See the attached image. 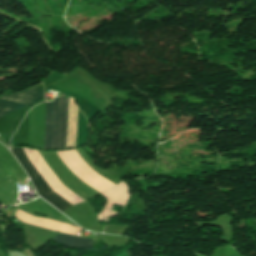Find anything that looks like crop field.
<instances>
[{"mask_svg":"<svg viewBox=\"0 0 256 256\" xmlns=\"http://www.w3.org/2000/svg\"><path fill=\"white\" fill-rule=\"evenodd\" d=\"M74 147L70 98L47 104L46 136L43 149Z\"/></svg>","mask_w":256,"mask_h":256,"instance_id":"obj_1","label":"crop field"},{"mask_svg":"<svg viewBox=\"0 0 256 256\" xmlns=\"http://www.w3.org/2000/svg\"><path fill=\"white\" fill-rule=\"evenodd\" d=\"M11 151L14 153V155L17 157L19 162L27 171L38 194L41 197L46 199L51 205H53L55 208H57L61 212L73 206L69 204L67 201H65L58 194L52 191V189L48 186L45 180L39 175L35 167L30 163L23 148H12Z\"/></svg>","mask_w":256,"mask_h":256,"instance_id":"obj_2","label":"crop field"},{"mask_svg":"<svg viewBox=\"0 0 256 256\" xmlns=\"http://www.w3.org/2000/svg\"><path fill=\"white\" fill-rule=\"evenodd\" d=\"M41 97L43 92L38 87L0 97V120L33 104Z\"/></svg>","mask_w":256,"mask_h":256,"instance_id":"obj_3","label":"crop field"},{"mask_svg":"<svg viewBox=\"0 0 256 256\" xmlns=\"http://www.w3.org/2000/svg\"><path fill=\"white\" fill-rule=\"evenodd\" d=\"M53 240L68 248H86L92 247V241L88 239L76 238L64 234H57Z\"/></svg>","mask_w":256,"mask_h":256,"instance_id":"obj_4","label":"crop field"}]
</instances>
